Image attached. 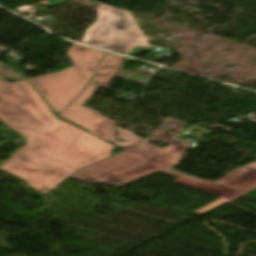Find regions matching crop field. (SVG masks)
Listing matches in <instances>:
<instances>
[{"instance_id":"crop-field-5","label":"crop field","mask_w":256,"mask_h":256,"mask_svg":"<svg viewBox=\"0 0 256 256\" xmlns=\"http://www.w3.org/2000/svg\"><path fill=\"white\" fill-rule=\"evenodd\" d=\"M123 57L105 52L91 82L85 90L59 115L77 126L114 144L116 123L106 119L82 104L99 88H108Z\"/></svg>"},{"instance_id":"crop-field-1","label":"crop field","mask_w":256,"mask_h":256,"mask_svg":"<svg viewBox=\"0 0 256 256\" xmlns=\"http://www.w3.org/2000/svg\"><path fill=\"white\" fill-rule=\"evenodd\" d=\"M0 119L28 142L26 148L13 154L0 169L43 194L75 170L113 151V145L58 120L27 80L0 83Z\"/></svg>"},{"instance_id":"crop-field-4","label":"crop field","mask_w":256,"mask_h":256,"mask_svg":"<svg viewBox=\"0 0 256 256\" xmlns=\"http://www.w3.org/2000/svg\"><path fill=\"white\" fill-rule=\"evenodd\" d=\"M67 54L75 66L29 79L57 114L85 87L103 51L73 44Z\"/></svg>"},{"instance_id":"crop-field-7","label":"crop field","mask_w":256,"mask_h":256,"mask_svg":"<svg viewBox=\"0 0 256 256\" xmlns=\"http://www.w3.org/2000/svg\"><path fill=\"white\" fill-rule=\"evenodd\" d=\"M245 196L251 197V198H255L256 199V190L246 194Z\"/></svg>"},{"instance_id":"crop-field-6","label":"crop field","mask_w":256,"mask_h":256,"mask_svg":"<svg viewBox=\"0 0 256 256\" xmlns=\"http://www.w3.org/2000/svg\"><path fill=\"white\" fill-rule=\"evenodd\" d=\"M216 183L246 192L256 188V162L229 173Z\"/></svg>"},{"instance_id":"crop-field-2","label":"crop field","mask_w":256,"mask_h":256,"mask_svg":"<svg viewBox=\"0 0 256 256\" xmlns=\"http://www.w3.org/2000/svg\"><path fill=\"white\" fill-rule=\"evenodd\" d=\"M177 122L186 124L179 120L168 118L150 139H141L118 127L117 137L127 141L116 142V146L126 152L112 156L99 163L86 167L71 176V178L90 184L104 183L119 188L128 183L161 171L177 177L173 182L192 187L201 191L215 194L220 200L193 213L204 214L242 194L238 190L230 189L213 182L204 181L174 171L166 170L180 165L188 142L174 139L183 126ZM147 141H166L172 145L159 149Z\"/></svg>"},{"instance_id":"crop-field-3","label":"crop field","mask_w":256,"mask_h":256,"mask_svg":"<svg viewBox=\"0 0 256 256\" xmlns=\"http://www.w3.org/2000/svg\"><path fill=\"white\" fill-rule=\"evenodd\" d=\"M97 12L98 18L86 29L83 43L130 56L154 48L128 11L99 3Z\"/></svg>"}]
</instances>
